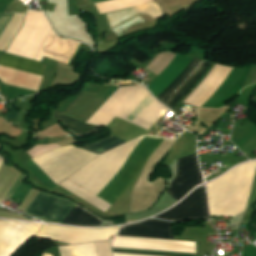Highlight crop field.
I'll return each instance as SVG.
<instances>
[{
  "label": "crop field",
  "instance_id": "1",
  "mask_svg": "<svg viewBox=\"0 0 256 256\" xmlns=\"http://www.w3.org/2000/svg\"><path fill=\"white\" fill-rule=\"evenodd\" d=\"M141 139L133 140L102 154L60 185L106 212L110 204L117 200L139 174L154 150L165 140L150 136ZM96 195L110 204L96 198Z\"/></svg>",
  "mask_w": 256,
  "mask_h": 256
},
{
  "label": "crop field",
  "instance_id": "2",
  "mask_svg": "<svg viewBox=\"0 0 256 256\" xmlns=\"http://www.w3.org/2000/svg\"><path fill=\"white\" fill-rule=\"evenodd\" d=\"M149 93L140 85L120 87L87 122L106 126L117 116L149 130L169 111Z\"/></svg>",
  "mask_w": 256,
  "mask_h": 256
},
{
  "label": "crop field",
  "instance_id": "3",
  "mask_svg": "<svg viewBox=\"0 0 256 256\" xmlns=\"http://www.w3.org/2000/svg\"><path fill=\"white\" fill-rule=\"evenodd\" d=\"M255 169L256 161L239 165L207 185L211 215L232 217L245 209Z\"/></svg>",
  "mask_w": 256,
  "mask_h": 256
},
{
  "label": "crop field",
  "instance_id": "4",
  "mask_svg": "<svg viewBox=\"0 0 256 256\" xmlns=\"http://www.w3.org/2000/svg\"><path fill=\"white\" fill-rule=\"evenodd\" d=\"M118 228L111 229H80L53 225H44L35 236L58 240L70 244L108 240L111 234L115 235Z\"/></svg>",
  "mask_w": 256,
  "mask_h": 256
},
{
  "label": "crop field",
  "instance_id": "5",
  "mask_svg": "<svg viewBox=\"0 0 256 256\" xmlns=\"http://www.w3.org/2000/svg\"><path fill=\"white\" fill-rule=\"evenodd\" d=\"M212 63L194 58L184 72L158 98L171 109L195 85Z\"/></svg>",
  "mask_w": 256,
  "mask_h": 256
},
{
  "label": "crop field",
  "instance_id": "6",
  "mask_svg": "<svg viewBox=\"0 0 256 256\" xmlns=\"http://www.w3.org/2000/svg\"><path fill=\"white\" fill-rule=\"evenodd\" d=\"M74 205L71 201L39 191L25 211L46 221L61 223Z\"/></svg>",
  "mask_w": 256,
  "mask_h": 256
},
{
  "label": "crop field",
  "instance_id": "7",
  "mask_svg": "<svg viewBox=\"0 0 256 256\" xmlns=\"http://www.w3.org/2000/svg\"><path fill=\"white\" fill-rule=\"evenodd\" d=\"M177 162L176 176L165 192L178 201L194 186L202 182V176L196 154L178 159Z\"/></svg>",
  "mask_w": 256,
  "mask_h": 256
},
{
  "label": "crop field",
  "instance_id": "8",
  "mask_svg": "<svg viewBox=\"0 0 256 256\" xmlns=\"http://www.w3.org/2000/svg\"><path fill=\"white\" fill-rule=\"evenodd\" d=\"M41 226L0 220V256H11Z\"/></svg>",
  "mask_w": 256,
  "mask_h": 256
},
{
  "label": "crop field",
  "instance_id": "9",
  "mask_svg": "<svg viewBox=\"0 0 256 256\" xmlns=\"http://www.w3.org/2000/svg\"><path fill=\"white\" fill-rule=\"evenodd\" d=\"M154 218L173 221L208 219L204 187L196 189L183 202Z\"/></svg>",
  "mask_w": 256,
  "mask_h": 256
},
{
  "label": "crop field",
  "instance_id": "10",
  "mask_svg": "<svg viewBox=\"0 0 256 256\" xmlns=\"http://www.w3.org/2000/svg\"><path fill=\"white\" fill-rule=\"evenodd\" d=\"M112 247L196 253L195 242L115 236Z\"/></svg>",
  "mask_w": 256,
  "mask_h": 256
},
{
  "label": "crop field",
  "instance_id": "11",
  "mask_svg": "<svg viewBox=\"0 0 256 256\" xmlns=\"http://www.w3.org/2000/svg\"><path fill=\"white\" fill-rule=\"evenodd\" d=\"M171 222L149 219L141 223L122 226L117 235L172 240Z\"/></svg>",
  "mask_w": 256,
  "mask_h": 256
},
{
  "label": "crop field",
  "instance_id": "12",
  "mask_svg": "<svg viewBox=\"0 0 256 256\" xmlns=\"http://www.w3.org/2000/svg\"><path fill=\"white\" fill-rule=\"evenodd\" d=\"M0 64L39 76H43L45 67L44 64L22 59L8 54H4L1 57Z\"/></svg>",
  "mask_w": 256,
  "mask_h": 256
},
{
  "label": "crop field",
  "instance_id": "13",
  "mask_svg": "<svg viewBox=\"0 0 256 256\" xmlns=\"http://www.w3.org/2000/svg\"><path fill=\"white\" fill-rule=\"evenodd\" d=\"M102 220L89 210L75 205L62 224L80 226H98Z\"/></svg>",
  "mask_w": 256,
  "mask_h": 256
},
{
  "label": "crop field",
  "instance_id": "14",
  "mask_svg": "<svg viewBox=\"0 0 256 256\" xmlns=\"http://www.w3.org/2000/svg\"><path fill=\"white\" fill-rule=\"evenodd\" d=\"M54 118L62 121L70 130L77 135L87 134L95 130L98 126L80 122L76 119L63 116L59 111H56Z\"/></svg>",
  "mask_w": 256,
  "mask_h": 256
},
{
  "label": "crop field",
  "instance_id": "15",
  "mask_svg": "<svg viewBox=\"0 0 256 256\" xmlns=\"http://www.w3.org/2000/svg\"><path fill=\"white\" fill-rule=\"evenodd\" d=\"M62 256H96L94 243L59 247Z\"/></svg>",
  "mask_w": 256,
  "mask_h": 256
},
{
  "label": "crop field",
  "instance_id": "16",
  "mask_svg": "<svg viewBox=\"0 0 256 256\" xmlns=\"http://www.w3.org/2000/svg\"><path fill=\"white\" fill-rule=\"evenodd\" d=\"M124 143H126V141L113 137L86 150L92 151L97 154H101L109 149H112Z\"/></svg>",
  "mask_w": 256,
  "mask_h": 256
},
{
  "label": "crop field",
  "instance_id": "17",
  "mask_svg": "<svg viewBox=\"0 0 256 256\" xmlns=\"http://www.w3.org/2000/svg\"><path fill=\"white\" fill-rule=\"evenodd\" d=\"M247 70H245V72L243 73L242 77L240 78V80L235 84V86L227 93V95L218 103V105L215 108H221L223 106H225V103L233 100L238 92L240 91L242 84L244 82V79L246 77L247 74Z\"/></svg>",
  "mask_w": 256,
  "mask_h": 256
},
{
  "label": "crop field",
  "instance_id": "18",
  "mask_svg": "<svg viewBox=\"0 0 256 256\" xmlns=\"http://www.w3.org/2000/svg\"><path fill=\"white\" fill-rule=\"evenodd\" d=\"M113 252L119 253H133V254H146V255H160V256H193L185 254H172V253H159V252H147V251H134V250H121V249H112Z\"/></svg>",
  "mask_w": 256,
  "mask_h": 256
},
{
  "label": "crop field",
  "instance_id": "19",
  "mask_svg": "<svg viewBox=\"0 0 256 256\" xmlns=\"http://www.w3.org/2000/svg\"><path fill=\"white\" fill-rule=\"evenodd\" d=\"M42 256H52V255L43 254Z\"/></svg>",
  "mask_w": 256,
  "mask_h": 256
}]
</instances>
